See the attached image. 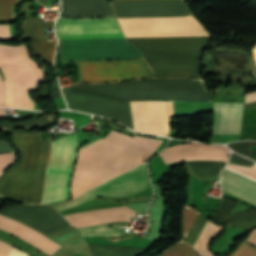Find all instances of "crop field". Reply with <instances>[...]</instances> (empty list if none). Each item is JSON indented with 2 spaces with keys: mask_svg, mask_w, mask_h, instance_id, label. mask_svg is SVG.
I'll return each mask as SVG.
<instances>
[{
  "mask_svg": "<svg viewBox=\"0 0 256 256\" xmlns=\"http://www.w3.org/2000/svg\"><path fill=\"white\" fill-rule=\"evenodd\" d=\"M254 48H256V45H255V47Z\"/></svg>",
  "mask_w": 256,
  "mask_h": 256,
  "instance_id": "obj_44",
  "label": "crop field"
},
{
  "mask_svg": "<svg viewBox=\"0 0 256 256\" xmlns=\"http://www.w3.org/2000/svg\"><path fill=\"white\" fill-rule=\"evenodd\" d=\"M0 38H10L9 25H0ZM0 70L5 78L6 106L34 109L27 90L43 80V71L25 46L0 45Z\"/></svg>",
  "mask_w": 256,
  "mask_h": 256,
  "instance_id": "obj_6",
  "label": "crop field"
},
{
  "mask_svg": "<svg viewBox=\"0 0 256 256\" xmlns=\"http://www.w3.org/2000/svg\"><path fill=\"white\" fill-rule=\"evenodd\" d=\"M70 17L111 16L106 0H62V14Z\"/></svg>",
  "mask_w": 256,
  "mask_h": 256,
  "instance_id": "obj_18",
  "label": "crop field"
},
{
  "mask_svg": "<svg viewBox=\"0 0 256 256\" xmlns=\"http://www.w3.org/2000/svg\"><path fill=\"white\" fill-rule=\"evenodd\" d=\"M134 211L122 207H112L91 210L76 214L65 215L64 217L71 222L73 226L83 227L87 225H96L105 222L128 220ZM131 218V217H130Z\"/></svg>",
  "mask_w": 256,
  "mask_h": 256,
  "instance_id": "obj_15",
  "label": "crop field"
},
{
  "mask_svg": "<svg viewBox=\"0 0 256 256\" xmlns=\"http://www.w3.org/2000/svg\"><path fill=\"white\" fill-rule=\"evenodd\" d=\"M227 167L256 180V162L251 167L227 164ZM225 168L221 174L224 191L256 205V181Z\"/></svg>",
  "mask_w": 256,
  "mask_h": 256,
  "instance_id": "obj_13",
  "label": "crop field"
},
{
  "mask_svg": "<svg viewBox=\"0 0 256 256\" xmlns=\"http://www.w3.org/2000/svg\"><path fill=\"white\" fill-rule=\"evenodd\" d=\"M229 162L235 163V164H240V165H247V166H251L253 164V161L246 159L242 156H239L235 153H232Z\"/></svg>",
  "mask_w": 256,
  "mask_h": 256,
  "instance_id": "obj_33",
  "label": "crop field"
},
{
  "mask_svg": "<svg viewBox=\"0 0 256 256\" xmlns=\"http://www.w3.org/2000/svg\"><path fill=\"white\" fill-rule=\"evenodd\" d=\"M0 229L6 230L51 255L62 246L56 244L37 231L0 215Z\"/></svg>",
  "mask_w": 256,
  "mask_h": 256,
  "instance_id": "obj_16",
  "label": "crop field"
},
{
  "mask_svg": "<svg viewBox=\"0 0 256 256\" xmlns=\"http://www.w3.org/2000/svg\"><path fill=\"white\" fill-rule=\"evenodd\" d=\"M256 211H241L231 214V222L234 220L245 219L249 217H255Z\"/></svg>",
  "mask_w": 256,
  "mask_h": 256,
  "instance_id": "obj_34",
  "label": "crop field"
},
{
  "mask_svg": "<svg viewBox=\"0 0 256 256\" xmlns=\"http://www.w3.org/2000/svg\"><path fill=\"white\" fill-rule=\"evenodd\" d=\"M149 186L150 181L147 165L144 163L143 165L84 193L71 202L56 206V208L60 211L81 204L97 196L110 198L129 197Z\"/></svg>",
  "mask_w": 256,
  "mask_h": 256,
  "instance_id": "obj_9",
  "label": "crop field"
},
{
  "mask_svg": "<svg viewBox=\"0 0 256 256\" xmlns=\"http://www.w3.org/2000/svg\"><path fill=\"white\" fill-rule=\"evenodd\" d=\"M18 0H0V21H12L14 14L12 12L13 5Z\"/></svg>",
  "mask_w": 256,
  "mask_h": 256,
  "instance_id": "obj_26",
  "label": "crop field"
},
{
  "mask_svg": "<svg viewBox=\"0 0 256 256\" xmlns=\"http://www.w3.org/2000/svg\"><path fill=\"white\" fill-rule=\"evenodd\" d=\"M249 158H252L254 160H256V149H252L250 155H249Z\"/></svg>",
  "mask_w": 256,
  "mask_h": 256,
  "instance_id": "obj_41",
  "label": "crop field"
},
{
  "mask_svg": "<svg viewBox=\"0 0 256 256\" xmlns=\"http://www.w3.org/2000/svg\"><path fill=\"white\" fill-rule=\"evenodd\" d=\"M0 118H6V108H0Z\"/></svg>",
  "mask_w": 256,
  "mask_h": 256,
  "instance_id": "obj_40",
  "label": "crop field"
},
{
  "mask_svg": "<svg viewBox=\"0 0 256 256\" xmlns=\"http://www.w3.org/2000/svg\"><path fill=\"white\" fill-rule=\"evenodd\" d=\"M14 161L15 157L13 153L0 155V174Z\"/></svg>",
  "mask_w": 256,
  "mask_h": 256,
  "instance_id": "obj_31",
  "label": "crop field"
},
{
  "mask_svg": "<svg viewBox=\"0 0 256 256\" xmlns=\"http://www.w3.org/2000/svg\"><path fill=\"white\" fill-rule=\"evenodd\" d=\"M208 37L128 38L140 47L157 78L199 77V56Z\"/></svg>",
  "mask_w": 256,
  "mask_h": 256,
  "instance_id": "obj_5",
  "label": "crop field"
},
{
  "mask_svg": "<svg viewBox=\"0 0 256 256\" xmlns=\"http://www.w3.org/2000/svg\"><path fill=\"white\" fill-rule=\"evenodd\" d=\"M207 218L208 217L199 213L196 221L194 222L192 228L190 229V231L184 241H186L190 245H193L195 239L197 238L198 234L200 233L201 229L203 228Z\"/></svg>",
  "mask_w": 256,
  "mask_h": 256,
  "instance_id": "obj_25",
  "label": "crop field"
},
{
  "mask_svg": "<svg viewBox=\"0 0 256 256\" xmlns=\"http://www.w3.org/2000/svg\"><path fill=\"white\" fill-rule=\"evenodd\" d=\"M199 212H197L195 209L187 206L186 214L184 218V233L185 236L187 235L189 229L191 228L194 220L196 219ZM185 238V237H184Z\"/></svg>",
  "mask_w": 256,
  "mask_h": 256,
  "instance_id": "obj_29",
  "label": "crop field"
},
{
  "mask_svg": "<svg viewBox=\"0 0 256 256\" xmlns=\"http://www.w3.org/2000/svg\"><path fill=\"white\" fill-rule=\"evenodd\" d=\"M255 143H256V141H244V142L232 143V144H227V145L234 151L246 156V152H247L248 148L251 147Z\"/></svg>",
  "mask_w": 256,
  "mask_h": 256,
  "instance_id": "obj_30",
  "label": "crop field"
},
{
  "mask_svg": "<svg viewBox=\"0 0 256 256\" xmlns=\"http://www.w3.org/2000/svg\"><path fill=\"white\" fill-rule=\"evenodd\" d=\"M117 21L126 37L210 36L192 16L117 19Z\"/></svg>",
  "mask_w": 256,
  "mask_h": 256,
  "instance_id": "obj_8",
  "label": "crop field"
},
{
  "mask_svg": "<svg viewBox=\"0 0 256 256\" xmlns=\"http://www.w3.org/2000/svg\"><path fill=\"white\" fill-rule=\"evenodd\" d=\"M77 145L76 135H69L52 142V156L47 170L42 203L70 198L69 184Z\"/></svg>",
  "mask_w": 256,
  "mask_h": 256,
  "instance_id": "obj_7",
  "label": "crop field"
},
{
  "mask_svg": "<svg viewBox=\"0 0 256 256\" xmlns=\"http://www.w3.org/2000/svg\"><path fill=\"white\" fill-rule=\"evenodd\" d=\"M51 122H52V119H51V116H49V117H45V118H41V119L29 120L26 122L2 125L0 127H1V129L15 128V127H19V126L36 127V126H40V125L51 123Z\"/></svg>",
  "mask_w": 256,
  "mask_h": 256,
  "instance_id": "obj_27",
  "label": "crop field"
},
{
  "mask_svg": "<svg viewBox=\"0 0 256 256\" xmlns=\"http://www.w3.org/2000/svg\"><path fill=\"white\" fill-rule=\"evenodd\" d=\"M163 256H197V254L192 247L183 242L179 246L169 250Z\"/></svg>",
  "mask_w": 256,
  "mask_h": 256,
  "instance_id": "obj_28",
  "label": "crop field"
},
{
  "mask_svg": "<svg viewBox=\"0 0 256 256\" xmlns=\"http://www.w3.org/2000/svg\"><path fill=\"white\" fill-rule=\"evenodd\" d=\"M9 256H29V255L15 247H12V250Z\"/></svg>",
  "mask_w": 256,
  "mask_h": 256,
  "instance_id": "obj_37",
  "label": "crop field"
},
{
  "mask_svg": "<svg viewBox=\"0 0 256 256\" xmlns=\"http://www.w3.org/2000/svg\"><path fill=\"white\" fill-rule=\"evenodd\" d=\"M0 106H5L3 82H2L1 76H0Z\"/></svg>",
  "mask_w": 256,
  "mask_h": 256,
  "instance_id": "obj_38",
  "label": "crop field"
},
{
  "mask_svg": "<svg viewBox=\"0 0 256 256\" xmlns=\"http://www.w3.org/2000/svg\"><path fill=\"white\" fill-rule=\"evenodd\" d=\"M82 236H120L123 230L107 227L92 226L88 228H79Z\"/></svg>",
  "mask_w": 256,
  "mask_h": 256,
  "instance_id": "obj_23",
  "label": "crop field"
},
{
  "mask_svg": "<svg viewBox=\"0 0 256 256\" xmlns=\"http://www.w3.org/2000/svg\"><path fill=\"white\" fill-rule=\"evenodd\" d=\"M38 1L45 5L48 0H38Z\"/></svg>",
  "mask_w": 256,
  "mask_h": 256,
  "instance_id": "obj_42",
  "label": "crop field"
},
{
  "mask_svg": "<svg viewBox=\"0 0 256 256\" xmlns=\"http://www.w3.org/2000/svg\"><path fill=\"white\" fill-rule=\"evenodd\" d=\"M118 17L184 16L191 14L185 0L111 2Z\"/></svg>",
  "mask_w": 256,
  "mask_h": 256,
  "instance_id": "obj_12",
  "label": "crop field"
},
{
  "mask_svg": "<svg viewBox=\"0 0 256 256\" xmlns=\"http://www.w3.org/2000/svg\"><path fill=\"white\" fill-rule=\"evenodd\" d=\"M237 204V202L223 199L213 218L220 222H230V213Z\"/></svg>",
  "mask_w": 256,
  "mask_h": 256,
  "instance_id": "obj_24",
  "label": "crop field"
},
{
  "mask_svg": "<svg viewBox=\"0 0 256 256\" xmlns=\"http://www.w3.org/2000/svg\"><path fill=\"white\" fill-rule=\"evenodd\" d=\"M60 54L63 60L144 58L142 50L126 38L60 40ZM78 63L82 82H114L152 77L143 59Z\"/></svg>",
  "mask_w": 256,
  "mask_h": 256,
  "instance_id": "obj_3",
  "label": "crop field"
},
{
  "mask_svg": "<svg viewBox=\"0 0 256 256\" xmlns=\"http://www.w3.org/2000/svg\"><path fill=\"white\" fill-rule=\"evenodd\" d=\"M22 163L12 166L0 177V195L25 203H41L44 174L50 156V137L41 133L15 132Z\"/></svg>",
  "mask_w": 256,
  "mask_h": 256,
  "instance_id": "obj_4",
  "label": "crop field"
},
{
  "mask_svg": "<svg viewBox=\"0 0 256 256\" xmlns=\"http://www.w3.org/2000/svg\"><path fill=\"white\" fill-rule=\"evenodd\" d=\"M220 229L221 227H218L207 221L194 246L199 256H213L206 248V246L208 245L209 240L219 233Z\"/></svg>",
  "mask_w": 256,
  "mask_h": 256,
  "instance_id": "obj_19",
  "label": "crop field"
},
{
  "mask_svg": "<svg viewBox=\"0 0 256 256\" xmlns=\"http://www.w3.org/2000/svg\"><path fill=\"white\" fill-rule=\"evenodd\" d=\"M130 105L134 129L169 134V120L174 117L172 102L139 101L130 102Z\"/></svg>",
  "mask_w": 256,
  "mask_h": 256,
  "instance_id": "obj_10",
  "label": "crop field"
},
{
  "mask_svg": "<svg viewBox=\"0 0 256 256\" xmlns=\"http://www.w3.org/2000/svg\"><path fill=\"white\" fill-rule=\"evenodd\" d=\"M161 142L112 131L105 139L79 149L71 185L72 197L141 164Z\"/></svg>",
  "mask_w": 256,
  "mask_h": 256,
  "instance_id": "obj_2",
  "label": "crop field"
},
{
  "mask_svg": "<svg viewBox=\"0 0 256 256\" xmlns=\"http://www.w3.org/2000/svg\"><path fill=\"white\" fill-rule=\"evenodd\" d=\"M54 98L62 97L59 89H52ZM48 86H44L40 91L39 95H48Z\"/></svg>",
  "mask_w": 256,
  "mask_h": 256,
  "instance_id": "obj_35",
  "label": "crop field"
},
{
  "mask_svg": "<svg viewBox=\"0 0 256 256\" xmlns=\"http://www.w3.org/2000/svg\"><path fill=\"white\" fill-rule=\"evenodd\" d=\"M247 241H249L250 243L256 246V229L251 232Z\"/></svg>",
  "mask_w": 256,
  "mask_h": 256,
  "instance_id": "obj_39",
  "label": "crop field"
},
{
  "mask_svg": "<svg viewBox=\"0 0 256 256\" xmlns=\"http://www.w3.org/2000/svg\"><path fill=\"white\" fill-rule=\"evenodd\" d=\"M256 146V145H255Z\"/></svg>",
  "mask_w": 256,
  "mask_h": 256,
  "instance_id": "obj_45",
  "label": "crop field"
},
{
  "mask_svg": "<svg viewBox=\"0 0 256 256\" xmlns=\"http://www.w3.org/2000/svg\"><path fill=\"white\" fill-rule=\"evenodd\" d=\"M231 225H235V226H237L239 228L250 230L251 228L256 226V218L235 221V222H232Z\"/></svg>",
  "mask_w": 256,
  "mask_h": 256,
  "instance_id": "obj_32",
  "label": "crop field"
},
{
  "mask_svg": "<svg viewBox=\"0 0 256 256\" xmlns=\"http://www.w3.org/2000/svg\"><path fill=\"white\" fill-rule=\"evenodd\" d=\"M229 150L227 147L221 145L192 142L167 148L159 154L166 163L197 159L226 161Z\"/></svg>",
  "mask_w": 256,
  "mask_h": 256,
  "instance_id": "obj_14",
  "label": "crop field"
},
{
  "mask_svg": "<svg viewBox=\"0 0 256 256\" xmlns=\"http://www.w3.org/2000/svg\"><path fill=\"white\" fill-rule=\"evenodd\" d=\"M33 47L35 52L43 59L53 62V55L56 47V39L33 41Z\"/></svg>",
  "mask_w": 256,
  "mask_h": 256,
  "instance_id": "obj_22",
  "label": "crop field"
},
{
  "mask_svg": "<svg viewBox=\"0 0 256 256\" xmlns=\"http://www.w3.org/2000/svg\"><path fill=\"white\" fill-rule=\"evenodd\" d=\"M212 134L239 133L243 104L214 103Z\"/></svg>",
  "mask_w": 256,
  "mask_h": 256,
  "instance_id": "obj_17",
  "label": "crop field"
},
{
  "mask_svg": "<svg viewBox=\"0 0 256 256\" xmlns=\"http://www.w3.org/2000/svg\"><path fill=\"white\" fill-rule=\"evenodd\" d=\"M72 109L113 118L131 129L129 101L212 102L203 79L144 80L63 88Z\"/></svg>",
  "mask_w": 256,
  "mask_h": 256,
  "instance_id": "obj_1",
  "label": "crop field"
},
{
  "mask_svg": "<svg viewBox=\"0 0 256 256\" xmlns=\"http://www.w3.org/2000/svg\"><path fill=\"white\" fill-rule=\"evenodd\" d=\"M54 23L28 17V24L26 26L28 39L41 40L47 39L42 27L53 28Z\"/></svg>",
  "mask_w": 256,
  "mask_h": 256,
  "instance_id": "obj_20",
  "label": "crop field"
},
{
  "mask_svg": "<svg viewBox=\"0 0 256 256\" xmlns=\"http://www.w3.org/2000/svg\"><path fill=\"white\" fill-rule=\"evenodd\" d=\"M58 35L60 39L124 37L115 18H61Z\"/></svg>",
  "mask_w": 256,
  "mask_h": 256,
  "instance_id": "obj_11",
  "label": "crop field"
},
{
  "mask_svg": "<svg viewBox=\"0 0 256 256\" xmlns=\"http://www.w3.org/2000/svg\"><path fill=\"white\" fill-rule=\"evenodd\" d=\"M115 1H125V0H115Z\"/></svg>",
  "mask_w": 256,
  "mask_h": 256,
  "instance_id": "obj_43",
  "label": "crop field"
},
{
  "mask_svg": "<svg viewBox=\"0 0 256 256\" xmlns=\"http://www.w3.org/2000/svg\"><path fill=\"white\" fill-rule=\"evenodd\" d=\"M221 162H188L198 178L217 176Z\"/></svg>",
  "mask_w": 256,
  "mask_h": 256,
  "instance_id": "obj_21",
  "label": "crop field"
},
{
  "mask_svg": "<svg viewBox=\"0 0 256 256\" xmlns=\"http://www.w3.org/2000/svg\"><path fill=\"white\" fill-rule=\"evenodd\" d=\"M11 245L0 241V256H8L11 250Z\"/></svg>",
  "mask_w": 256,
  "mask_h": 256,
  "instance_id": "obj_36",
  "label": "crop field"
}]
</instances>
